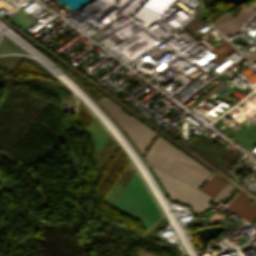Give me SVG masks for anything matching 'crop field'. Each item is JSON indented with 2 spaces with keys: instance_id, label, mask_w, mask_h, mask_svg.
Wrapping results in <instances>:
<instances>
[{
  "instance_id": "412701ff",
  "label": "crop field",
  "mask_w": 256,
  "mask_h": 256,
  "mask_svg": "<svg viewBox=\"0 0 256 256\" xmlns=\"http://www.w3.org/2000/svg\"><path fill=\"white\" fill-rule=\"evenodd\" d=\"M98 102L109 111L110 115L120 124L141 154L144 155L157 134L137 120L125 115L120 111L119 107L108 99L101 96Z\"/></svg>"
},
{
  "instance_id": "e52e79f7",
  "label": "crop field",
  "mask_w": 256,
  "mask_h": 256,
  "mask_svg": "<svg viewBox=\"0 0 256 256\" xmlns=\"http://www.w3.org/2000/svg\"><path fill=\"white\" fill-rule=\"evenodd\" d=\"M255 9L256 2H254L250 8L243 6L242 9L239 11L238 15L234 17V19L220 33L227 36L236 29H238L245 22V20L254 12Z\"/></svg>"
},
{
  "instance_id": "ac0d7876",
  "label": "crop field",
  "mask_w": 256,
  "mask_h": 256,
  "mask_svg": "<svg viewBox=\"0 0 256 256\" xmlns=\"http://www.w3.org/2000/svg\"><path fill=\"white\" fill-rule=\"evenodd\" d=\"M111 206L141 220L146 230L161 217L136 172Z\"/></svg>"
},
{
  "instance_id": "5a996713",
  "label": "crop field",
  "mask_w": 256,
  "mask_h": 256,
  "mask_svg": "<svg viewBox=\"0 0 256 256\" xmlns=\"http://www.w3.org/2000/svg\"><path fill=\"white\" fill-rule=\"evenodd\" d=\"M32 16L25 12L24 10H19L15 13L10 20L19 25L23 30L27 29L36 21L31 18Z\"/></svg>"
},
{
  "instance_id": "dd49c442",
  "label": "crop field",
  "mask_w": 256,
  "mask_h": 256,
  "mask_svg": "<svg viewBox=\"0 0 256 256\" xmlns=\"http://www.w3.org/2000/svg\"><path fill=\"white\" fill-rule=\"evenodd\" d=\"M227 208L238 213L249 222L256 219V205L253 204L251 201H249L241 193L235 198V200Z\"/></svg>"
},
{
  "instance_id": "28ad6ade",
  "label": "crop field",
  "mask_w": 256,
  "mask_h": 256,
  "mask_svg": "<svg viewBox=\"0 0 256 256\" xmlns=\"http://www.w3.org/2000/svg\"><path fill=\"white\" fill-rule=\"evenodd\" d=\"M233 19L232 15L230 13H225L221 16H219L216 21L213 23V25L218 29V31H222L225 26Z\"/></svg>"
},
{
  "instance_id": "d8731c3e",
  "label": "crop field",
  "mask_w": 256,
  "mask_h": 256,
  "mask_svg": "<svg viewBox=\"0 0 256 256\" xmlns=\"http://www.w3.org/2000/svg\"><path fill=\"white\" fill-rule=\"evenodd\" d=\"M224 181L219 179L217 176H213L208 183L201 189V191L207 193L211 197H215L222 188L226 185Z\"/></svg>"
},
{
  "instance_id": "8a807250",
  "label": "crop field",
  "mask_w": 256,
  "mask_h": 256,
  "mask_svg": "<svg viewBox=\"0 0 256 256\" xmlns=\"http://www.w3.org/2000/svg\"><path fill=\"white\" fill-rule=\"evenodd\" d=\"M145 158L148 163L196 188L211 173L160 136Z\"/></svg>"
},
{
  "instance_id": "3316defc",
  "label": "crop field",
  "mask_w": 256,
  "mask_h": 256,
  "mask_svg": "<svg viewBox=\"0 0 256 256\" xmlns=\"http://www.w3.org/2000/svg\"><path fill=\"white\" fill-rule=\"evenodd\" d=\"M236 50L230 45L228 44L226 41L223 42L222 44L218 45L217 47H215L212 52H214L217 56H219L220 58L218 59L216 56L211 60L214 63H218L220 62L222 59L226 58L227 56H229L230 54H232L233 52H235Z\"/></svg>"
},
{
  "instance_id": "f4fd0767",
  "label": "crop field",
  "mask_w": 256,
  "mask_h": 256,
  "mask_svg": "<svg viewBox=\"0 0 256 256\" xmlns=\"http://www.w3.org/2000/svg\"><path fill=\"white\" fill-rule=\"evenodd\" d=\"M196 152L209 159L224 171L230 167L232 162L237 158L230 152L213 145L199 137L194 141L190 140L187 142ZM214 164V165H215Z\"/></svg>"
},
{
  "instance_id": "34b2d1b8",
  "label": "crop field",
  "mask_w": 256,
  "mask_h": 256,
  "mask_svg": "<svg viewBox=\"0 0 256 256\" xmlns=\"http://www.w3.org/2000/svg\"><path fill=\"white\" fill-rule=\"evenodd\" d=\"M151 168L160 179L171 200L192 206L193 208L191 209L194 215L198 216L211 200L210 197L206 196L202 192L172 178L152 166Z\"/></svg>"
},
{
  "instance_id": "22f410ed",
  "label": "crop field",
  "mask_w": 256,
  "mask_h": 256,
  "mask_svg": "<svg viewBox=\"0 0 256 256\" xmlns=\"http://www.w3.org/2000/svg\"><path fill=\"white\" fill-rule=\"evenodd\" d=\"M247 57H248L249 60L253 59L254 57H256V51L247 55Z\"/></svg>"
},
{
  "instance_id": "cbeb9de0",
  "label": "crop field",
  "mask_w": 256,
  "mask_h": 256,
  "mask_svg": "<svg viewBox=\"0 0 256 256\" xmlns=\"http://www.w3.org/2000/svg\"><path fill=\"white\" fill-rule=\"evenodd\" d=\"M239 194V192L228 202L227 205H225L226 207L233 201V199Z\"/></svg>"
},
{
  "instance_id": "d1516ede",
  "label": "crop field",
  "mask_w": 256,
  "mask_h": 256,
  "mask_svg": "<svg viewBox=\"0 0 256 256\" xmlns=\"http://www.w3.org/2000/svg\"><path fill=\"white\" fill-rule=\"evenodd\" d=\"M234 190L235 189H233L231 186L227 184L224 187V189L214 199L220 201L224 196L228 198Z\"/></svg>"
}]
</instances>
